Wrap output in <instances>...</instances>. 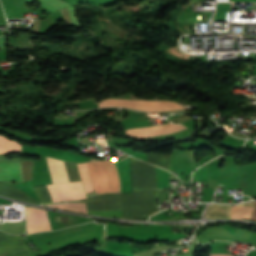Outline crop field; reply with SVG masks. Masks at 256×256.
Instances as JSON below:
<instances>
[{
	"mask_svg": "<svg viewBox=\"0 0 256 256\" xmlns=\"http://www.w3.org/2000/svg\"><path fill=\"white\" fill-rule=\"evenodd\" d=\"M95 192L120 193L117 167L113 161L88 162Z\"/></svg>",
	"mask_w": 256,
	"mask_h": 256,
	"instance_id": "1",
	"label": "crop field"
},
{
	"mask_svg": "<svg viewBox=\"0 0 256 256\" xmlns=\"http://www.w3.org/2000/svg\"><path fill=\"white\" fill-rule=\"evenodd\" d=\"M54 202L87 198L81 181L46 185Z\"/></svg>",
	"mask_w": 256,
	"mask_h": 256,
	"instance_id": "2",
	"label": "crop field"
},
{
	"mask_svg": "<svg viewBox=\"0 0 256 256\" xmlns=\"http://www.w3.org/2000/svg\"><path fill=\"white\" fill-rule=\"evenodd\" d=\"M31 1H37L40 3L41 6L55 12L65 6H69L66 2L62 0H31Z\"/></svg>",
	"mask_w": 256,
	"mask_h": 256,
	"instance_id": "10",
	"label": "crop field"
},
{
	"mask_svg": "<svg viewBox=\"0 0 256 256\" xmlns=\"http://www.w3.org/2000/svg\"><path fill=\"white\" fill-rule=\"evenodd\" d=\"M231 206L225 205H210L207 212V219H225L229 218Z\"/></svg>",
	"mask_w": 256,
	"mask_h": 256,
	"instance_id": "9",
	"label": "crop field"
},
{
	"mask_svg": "<svg viewBox=\"0 0 256 256\" xmlns=\"http://www.w3.org/2000/svg\"><path fill=\"white\" fill-rule=\"evenodd\" d=\"M250 220L256 221V204H255V207H254V210H253V213H252V216H251Z\"/></svg>",
	"mask_w": 256,
	"mask_h": 256,
	"instance_id": "14",
	"label": "crop field"
},
{
	"mask_svg": "<svg viewBox=\"0 0 256 256\" xmlns=\"http://www.w3.org/2000/svg\"><path fill=\"white\" fill-rule=\"evenodd\" d=\"M67 9H68V12H69V14H70V17H71V20H72L74 26H80V25L78 24L76 18H75V12H74L73 7H69V8H67Z\"/></svg>",
	"mask_w": 256,
	"mask_h": 256,
	"instance_id": "13",
	"label": "crop field"
},
{
	"mask_svg": "<svg viewBox=\"0 0 256 256\" xmlns=\"http://www.w3.org/2000/svg\"><path fill=\"white\" fill-rule=\"evenodd\" d=\"M46 158L49 164L53 183L69 181L66 174L64 162L61 160H55L48 157Z\"/></svg>",
	"mask_w": 256,
	"mask_h": 256,
	"instance_id": "7",
	"label": "crop field"
},
{
	"mask_svg": "<svg viewBox=\"0 0 256 256\" xmlns=\"http://www.w3.org/2000/svg\"><path fill=\"white\" fill-rule=\"evenodd\" d=\"M79 202L87 203L88 210H121L120 194H106Z\"/></svg>",
	"mask_w": 256,
	"mask_h": 256,
	"instance_id": "3",
	"label": "crop field"
},
{
	"mask_svg": "<svg viewBox=\"0 0 256 256\" xmlns=\"http://www.w3.org/2000/svg\"><path fill=\"white\" fill-rule=\"evenodd\" d=\"M29 251L20 235H9L0 232V252H27Z\"/></svg>",
	"mask_w": 256,
	"mask_h": 256,
	"instance_id": "5",
	"label": "crop field"
},
{
	"mask_svg": "<svg viewBox=\"0 0 256 256\" xmlns=\"http://www.w3.org/2000/svg\"><path fill=\"white\" fill-rule=\"evenodd\" d=\"M253 208L232 207L230 218L249 220Z\"/></svg>",
	"mask_w": 256,
	"mask_h": 256,
	"instance_id": "12",
	"label": "crop field"
},
{
	"mask_svg": "<svg viewBox=\"0 0 256 256\" xmlns=\"http://www.w3.org/2000/svg\"><path fill=\"white\" fill-rule=\"evenodd\" d=\"M21 145L15 141L7 140L0 136V153L10 152V151H20Z\"/></svg>",
	"mask_w": 256,
	"mask_h": 256,
	"instance_id": "11",
	"label": "crop field"
},
{
	"mask_svg": "<svg viewBox=\"0 0 256 256\" xmlns=\"http://www.w3.org/2000/svg\"><path fill=\"white\" fill-rule=\"evenodd\" d=\"M0 195L13 197V198L25 200L28 202L40 204L35 199L31 198L30 196H28L21 190L13 187L11 185H8L6 183H3V182H0Z\"/></svg>",
	"mask_w": 256,
	"mask_h": 256,
	"instance_id": "8",
	"label": "crop field"
},
{
	"mask_svg": "<svg viewBox=\"0 0 256 256\" xmlns=\"http://www.w3.org/2000/svg\"><path fill=\"white\" fill-rule=\"evenodd\" d=\"M0 180L23 181L20 163H0Z\"/></svg>",
	"mask_w": 256,
	"mask_h": 256,
	"instance_id": "6",
	"label": "crop field"
},
{
	"mask_svg": "<svg viewBox=\"0 0 256 256\" xmlns=\"http://www.w3.org/2000/svg\"><path fill=\"white\" fill-rule=\"evenodd\" d=\"M26 218L28 234L51 230L46 211L34 207H26Z\"/></svg>",
	"mask_w": 256,
	"mask_h": 256,
	"instance_id": "4",
	"label": "crop field"
}]
</instances>
